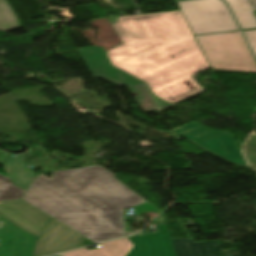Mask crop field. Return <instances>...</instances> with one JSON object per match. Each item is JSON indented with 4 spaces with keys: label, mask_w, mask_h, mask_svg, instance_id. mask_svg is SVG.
I'll return each instance as SVG.
<instances>
[{
    "label": "crop field",
    "mask_w": 256,
    "mask_h": 256,
    "mask_svg": "<svg viewBox=\"0 0 256 256\" xmlns=\"http://www.w3.org/2000/svg\"><path fill=\"white\" fill-rule=\"evenodd\" d=\"M172 131L193 140L197 144L225 157L231 162L247 165L231 133L205 130L195 122H191Z\"/></svg>",
    "instance_id": "obj_6"
},
{
    "label": "crop field",
    "mask_w": 256,
    "mask_h": 256,
    "mask_svg": "<svg viewBox=\"0 0 256 256\" xmlns=\"http://www.w3.org/2000/svg\"><path fill=\"white\" fill-rule=\"evenodd\" d=\"M171 239L177 256H220L218 241L194 243L190 239Z\"/></svg>",
    "instance_id": "obj_10"
},
{
    "label": "crop field",
    "mask_w": 256,
    "mask_h": 256,
    "mask_svg": "<svg viewBox=\"0 0 256 256\" xmlns=\"http://www.w3.org/2000/svg\"><path fill=\"white\" fill-rule=\"evenodd\" d=\"M118 19L113 26L124 44L107 52L114 67L170 103L204 90L192 76L210 65L181 11Z\"/></svg>",
    "instance_id": "obj_1"
},
{
    "label": "crop field",
    "mask_w": 256,
    "mask_h": 256,
    "mask_svg": "<svg viewBox=\"0 0 256 256\" xmlns=\"http://www.w3.org/2000/svg\"><path fill=\"white\" fill-rule=\"evenodd\" d=\"M243 31L256 55V29H249V30H243Z\"/></svg>",
    "instance_id": "obj_16"
},
{
    "label": "crop field",
    "mask_w": 256,
    "mask_h": 256,
    "mask_svg": "<svg viewBox=\"0 0 256 256\" xmlns=\"http://www.w3.org/2000/svg\"><path fill=\"white\" fill-rule=\"evenodd\" d=\"M102 248L88 251L86 248L64 253V256H126L134 246L128 238L119 239L103 244Z\"/></svg>",
    "instance_id": "obj_11"
},
{
    "label": "crop field",
    "mask_w": 256,
    "mask_h": 256,
    "mask_svg": "<svg viewBox=\"0 0 256 256\" xmlns=\"http://www.w3.org/2000/svg\"><path fill=\"white\" fill-rule=\"evenodd\" d=\"M231 6L242 29L256 28L254 8L249 0H226Z\"/></svg>",
    "instance_id": "obj_12"
},
{
    "label": "crop field",
    "mask_w": 256,
    "mask_h": 256,
    "mask_svg": "<svg viewBox=\"0 0 256 256\" xmlns=\"http://www.w3.org/2000/svg\"><path fill=\"white\" fill-rule=\"evenodd\" d=\"M250 1L252 2L253 6H254V8L256 10V0H250Z\"/></svg>",
    "instance_id": "obj_17"
},
{
    "label": "crop field",
    "mask_w": 256,
    "mask_h": 256,
    "mask_svg": "<svg viewBox=\"0 0 256 256\" xmlns=\"http://www.w3.org/2000/svg\"><path fill=\"white\" fill-rule=\"evenodd\" d=\"M196 38L212 68L256 72V63L240 31Z\"/></svg>",
    "instance_id": "obj_4"
},
{
    "label": "crop field",
    "mask_w": 256,
    "mask_h": 256,
    "mask_svg": "<svg viewBox=\"0 0 256 256\" xmlns=\"http://www.w3.org/2000/svg\"><path fill=\"white\" fill-rule=\"evenodd\" d=\"M178 5L195 35L239 30L221 0H193Z\"/></svg>",
    "instance_id": "obj_5"
},
{
    "label": "crop field",
    "mask_w": 256,
    "mask_h": 256,
    "mask_svg": "<svg viewBox=\"0 0 256 256\" xmlns=\"http://www.w3.org/2000/svg\"><path fill=\"white\" fill-rule=\"evenodd\" d=\"M132 92H137L139 96H136V99L139 101L144 110L156 108L147 88L144 84L129 86ZM142 108V109H143Z\"/></svg>",
    "instance_id": "obj_14"
},
{
    "label": "crop field",
    "mask_w": 256,
    "mask_h": 256,
    "mask_svg": "<svg viewBox=\"0 0 256 256\" xmlns=\"http://www.w3.org/2000/svg\"><path fill=\"white\" fill-rule=\"evenodd\" d=\"M160 233L129 237L135 245L127 256H176L166 224H160Z\"/></svg>",
    "instance_id": "obj_9"
},
{
    "label": "crop field",
    "mask_w": 256,
    "mask_h": 256,
    "mask_svg": "<svg viewBox=\"0 0 256 256\" xmlns=\"http://www.w3.org/2000/svg\"><path fill=\"white\" fill-rule=\"evenodd\" d=\"M244 151L251 165L256 169V134L250 136Z\"/></svg>",
    "instance_id": "obj_15"
},
{
    "label": "crop field",
    "mask_w": 256,
    "mask_h": 256,
    "mask_svg": "<svg viewBox=\"0 0 256 256\" xmlns=\"http://www.w3.org/2000/svg\"><path fill=\"white\" fill-rule=\"evenodd\" d=\"M55 256H58V255H55Z\"/></svg>",
    "instance_id": "obj_19"
},
{
    "label": "crop field",
    "mask_w": 256,
    "mask_h": 256,
    "mask_svg": "<svg viewBox=\"0 0 256 256\" xmlns=\"http://www.w3.org/2000/svg\"><path fill=\"white\" fill-rule=\"evenodd\" d=\"M177 2H180V1H186V0H176Z\"/></svg>",
    "instance_id": "obj_18"
},
{
    "label": "crop field",
    "mask_w": 256,
    "mask_h": 256,
    "mask_svg": "<svg viewBox=\"0 0 256 256\" xmlns=\"http://www.w3.org/2000/svg\"><path fill=\"white\" fill-rule=\"evenodd\" d=\"M12 11L5 0H0V31L6 32L21 26Z\"/></svg>",
    "instance_id": "obj_13"
},
{
    "label": "crop field",
    "mask_w": 256,
    "mask_h": 256,
    "mask_svg": "<svg viewBox=\"0 0 256 256\" xmlns=\"http://www.w3.org/2000/svg\"><path fill=\"white\" fill-rule=\"evenodd\" d=\"M35 240L0 217V256H31Z\"/></svg>",
    "instance_id": "obj_8"
},
{
    "label": "crop field",
    "mask_w": 256,
    "mask_h": 256,
    "mask_svg": "<svg viewBox=\"0 0 256 256\" xmlns=\"http://www.w3.org/2000/svg\"><path fill=\"white\" fill-rule=\"evenodd\" d=\"M89 69L95 77L106 80L112 84L133 85L140 84L142 81L114 68L103 48L90 47L79 49Z\"/></svg>",
    "instance_id": "obj_7"
},
{
    "label": "crop field",
    "mask_w": 256,
    "mask_h": 256,
    "mask_svg": "<svg viewBox=\"0 0 256 256\" xmlns=\"http://www.w3.org/2000/svg\"><path fill=\"white\" fill-rule=\"evenodd\" d=\"M37 175L23 200L93 242L124 237V210L147 202L101 166Z\"/></svg>",
    "instance_id": "obj_2"
},
{
    "label": "crop field",
    "mask_w": 256,
    "mask_h": 256,
    "mask_svg": "<svg viewBox=\"0 0 256 256\" xmlns=\"http://www.w3.org/2000/svg\"><path fill=\"white\" fill-rule=\"evenodd\" d=\"M25 191L0 173V216L37 238L32 256L78 248L84 236L22 201Z\"/></svg>",
    "instance_id": "obj_3"
}]
</instances>
